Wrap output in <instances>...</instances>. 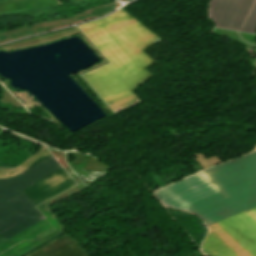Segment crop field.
I'll return each mask as SVG.
<instances>
[{
	"mask_svg": "<svg viewBox=\"0 0 256 256\" xmlns=\"http://www.w3.org/2000/svg\"><path fill=\"white\" fill-rule=\"evenodd\" d=\"M79 27L111 62L83 76L114 111L138 101L131 90L155 63L144 50L162 39L122 10Z\"/></svg>",
	"mask_w": 256,
	"mask_h": 256,
	"instance_id": "2",
	"label": "crop field"
},
{
	"mask_svg": "<svg viewBox=\"0 0 256 256\" xmlns=\"http://www.w3.org/2000/svg\"><path fill=\"white\" fill-rule=\"evenodd\" d=\"M209 17L217 27L253 33L256 28V0H212Z\"/></svg>",
	"mask_w": 256,
	"mask_h": 256,
	"instance_id": "4",
	"label": "crop field"
},
{
	"mask_svg": "<svg viewBox=\"0 0 256 256\" xmlns=\"http://www.w3.org/2000/svg\"><path fill=\"white\" fill-rule=\"evenodd\" d=\"M48 156L41 148L15 168H0V179H7ZM59 168L50 156L7 180H0V242L45 218L34 204L76 185L67 172Z\"/></svg>",
	"mask_w": 256,
	"mask_h": 256,
	"instance_id": "3",
	"label": "crop field"
},
{
	"mask_svg": "<svg viewBox=\"0 0 256 256\" xmlns=\"http://www.w3.org/2000/svg\"><path fill=\"white\" fill-rule=\"evenodd\" d=\"M162 202L200 215L208 225L256 205V151L154 192ZM208 256H256V206L210 224Z\"/></svg>",
	"mask_w": 256,
	"mask_h": 256,
	"instance_id": "1",
	"label": "crop field"
}]
</instances>
